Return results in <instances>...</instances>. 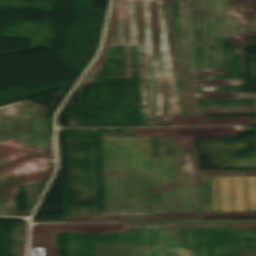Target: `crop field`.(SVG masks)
<instances>
[{
	"mask_svg": "<svg viewBox=\"0 0 256 256\" xmlns=\"http://www.w3.org/2000/svg\"><path fill=\"white\" fill-rule=\"evenodd\" d=\"M180 256H192V249L181 248Z\"/></svg>",
	"mask_w": 256,
	"mask_h": 256,
	"instance_id": "8",
	"label": "crop field"
},
{
	"mask_svg": "<svg viewBox=\"0 0 256 256\" xmlns=\"http://www.w3.org/2000/svg\"><path fill=\"white\" fill-rule=\"evenodd\" d=\"M137 245L97 243V256H136Z\"/></svg>",
	"mask_w": 256,
	"mask_h": 256,
	"instance_id": "4",
	"label": "crop field"
},
{
	"mask_svg": "<svg viewBox=\"0 0 256 256\" xmlns=\"http://www.w3.org/2000/svg\"><path fill=\"white\" fill-rule=\"evenodd\" d=\"M180 248L138 246L137 256H179Z\"/></svg>",
	"mask_w": 256,
	"mask_h": 256,
	"instance_id": "6",
	"label": "crop field"
},
{
	"mask_svg": "<svg viewBox=\"0 0 256 256\" xmlns=\"http://www.w3.org/2000/svg\"><path fill=\"white\" fill-rule=\"evenodd\" d=\"M50 172L44 109L0 107V214H13L10 184L46 182Z\"/></svg>",
	"mask_w": 256,
	"mask_h": 256,
	"instance_id": "3",
	"label": "crop field"
},
{
	"mask_svg": "<svg viewBox=\"0 0 256 256\" xmlns=\"http://www.w3.org/2000/svg\"><path fill=\"white\" fill-rule=\"evenodd\" d=\"M202 217H226V216H254L256 213H229V214H212L201 213Z\"/></svg>",
	"mask_w": 256,
	"mask_h": 256,
	"instance_id": "7",
	"label": "crop field"
},
{
	"mask_svg": "<svg viewBox=\"0 0 256 256\" xmlns=\"http://www.w3.org/2000/svg\"><path fill=\"white\" fill-rule=\"evenodd\" d=\"M201 212H212L210 177H194Z\"/></svg>",
	"mask_w": 256,
	"mask_h": 256,
	"instance_id": "5",
	"label": "crop field"
},
{
	"mask_svg": "<svg viewBox=\"0 0 256 256\" xmlns=\"http://www.w3.org/2000/svg\"><path fill=\"white\" fill-rule=\"evenodd\" d=\"M112 45H138L143 125L183 126L159 0H115L104 52L80 88L94 80Z\"/></svg>",
	"mask_w": 256,
	"mask_h": 256,
	"instance_id": "2",
	"label": "crop field"
},
{
	"mask_svg": "<svg viewBox=\"0 0 256 256\" xmlns=\"http://www.w3.org/2000/svg\"><path fill=\"white\" fill-rule=\"evenodd\" d=\"M106 215L201 218L185 135L101 136Z\"/></svg>",
	"mask_w": 256,
	"mask_h": 256,
	"instance_id": "1",
	"label": "crop field"
},
{
	"mask_svg": "<svg viewBox=\"0 0 256 256\" xmlns=\"http://www.w3.org/2000/svg\"><path fill=\"white\" fill-rule=\"evenodd\" d=\"M250 255H251V252L245 250V256H250Z\"/></svg>",
	"mask_w": 256,
	"mask_h": 256,
	"instance_id": "9",
	"label": "crop field"
}]
</instances>
